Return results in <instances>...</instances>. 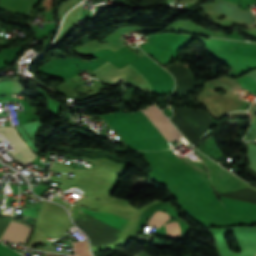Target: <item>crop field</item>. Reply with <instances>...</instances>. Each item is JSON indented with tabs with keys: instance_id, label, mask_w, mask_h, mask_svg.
I'll return each instance as SVG.
<instances>
[{
	"instance_id": "9",
	"label": "crop field",
	"mask_w": 256,
	"mask_h": 256,
	"mask_svg": "<svg viewBox=\"0 0 256 256\" xmlns=\"http://www.w3.org/2000/svg\"><path fill=\"white\" fill-rule=\"evenodd\" d=\"M44 256H60V255H57V254H52V253H45Z\"/></svg>"
},
{
	"instance_id": "2",
	"label": "crop field",
	"mask_w": 256,
	"mask_h": 256,
	"mask_svg": "<svg viewBox=\"0 0 256 256\" xmlns=\"http://www.w3.org/2000/svg\"><path fill=\"white\" fill-rule=\"evenodd\" d=\"M167 141L179 140L180 134L156 106L140 111Z\"/></svg>"
},
{
	"instance_id": "7",
	"label": "crop field",
	"mask_w": 256,
	"mask_h": 256,
	"mask_svg": "<svg viewBox=\"0 0 256 256\" xmlns=\"http://www.w3.org/2000/svg\"><path fill=\"white\" fill-rule=\"evenodd\" d=\"M169 237H175L181 235L179 225L177 222H170L164 225Z\"/></svg>"
},
{
	"instance_id": "8",
	"label": "crop field",
	"mask_w": 256,
	"mask_h": 256,
	"mask_svg": "<svg viewBox=\"0 0 256 256\" xmlns=\"http://www.w3.org/2000/svg\"><path fill=\"white\" fill-rule=\"evenodd\" d=\"M228 52L246 54V55H251L256 57V49H253V48L233 47Z\"/></svg>"
},
{
	"instance_id": "10",
	"label": "crop field",
	"mask_w": 256,
	"mask_h": 256,
	"mask_svg": "<svg viewBox=\"0 0 256 256\" xmlns=\"http://www.w3.org/2000/svg\"><path fill=\"white\" fill-rule=\"evenodd\" d=\"M138 238H143V239H150V237H147V238H145V237H138Z\"/></svg>"
},
{
	"instance_id": "3",
	"label": "crop field",
	"mask_w": 256,
	"mask_h": 256,
	"mask_svg": "<svg viewBox=\"0 0 256 256\" xmlns=\"http://www.w3.org/2000/svg\"><path fill=\"white\" fill-rule=\"evenodd\" d=\"M0 132L17 150L11 154L23 165H26L36 158L37 155H35L23 142V140L17 134L15 128L0 127Z\"/></svg>"
},
{
	"instance_id": "5",
	"label": "crop field",
	"mask_w": 256,
	"mask_h": 256,
	"mask_svg": "<svg viewBox=\"0 0 256 256\" xmlns=\"http://www.w3.org/2000/svg\"><path fill=\"white\" fill-rule=\"evenodd\" d=\"M82 211L122 230L123 226L125 225L126 223V220L122 219V218H119L113 214H108V213H97V212H93V211H90L86 208H82Z\"/></svg>"
},
{
	"instance_id": "4",
	"label": "crop field",
	"mask_w": 256,
	"mask_h": 256,
	"mask_svg": "<svg viewBox=\"0 0 256 256\" xmlns=\"http://www.w3.org/2000/svg\"><path fill=\"white\" fill-rule=\"evenodd\" d=\"M29 232H30V229L28 227L20 223L11 222L6 228V230L4 231L0 240L11 241L14 243H24Z\"/></svg>"
},
{
	"instance_id": "1",
	"label": "crop field",
	"mask_w": 256,
	"mask_h": 256,
	"mask_svg": "<svg viewBox=\"0 0 256 256\" xmlns=\"http://www.w3.org/2000/svg\"><path fill=\"white\" fill-rule=\"evenodd\" d=\"M91 72L106 83L117 82V79L124 78L130 84L152 93L150 83L130 63L119 69L107 61Z\"/></svg>"
},
{
	"instance_id": "11",
	"label": "crop field",
	"mask_w": 256,
	"mask_h": 256,
	"mask_svg": "<svg viewBox=\"0 0 256 256\" xmlns=\"http://www.w3.org/2000/svg\"><path fill=\"white\" fill-rule=\"evenodd\" d=\"M225 236V235H224Z\"/></svg>"
},
{
	"instance_id": "6",
	"label": "crop field",
	"mask_w": 256,
	"mask_h": 256,
	"mask_svg": "<svg viewBox=\"0 0 256 256\" xmlns=\"http://www.w3.org/2000/svg\"><path fill=\"white\" fill-rule=\"evenodd\" d=\"M170 217L160 211H157L153 214V216L150 218L148 224L156 227H160L163 223H165Z\"/></svg>"
}]
</instances>
